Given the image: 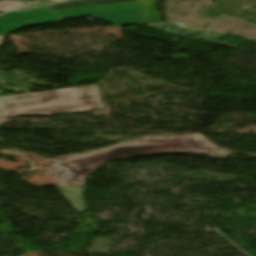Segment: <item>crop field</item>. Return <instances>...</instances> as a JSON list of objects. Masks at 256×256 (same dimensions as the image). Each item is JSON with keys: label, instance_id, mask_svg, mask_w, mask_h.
I'll list each match as a JSON object with an SVG mask.
<instances>
[{"label": "crop field", "instance_id": "obj_10", "mask_svg": "<svg viewBox=\"0 0 256 256\" xmlns=\"http://www.w3.org/2000/svg\"><path fill=\"white\" fill-rule=\"evenodd\" d=\"M233 153H238V154H246V153H240V152H235V151H232ZM247 155H251V156H255L256 157V155H253V154H247Z\"/></svg>", "mask_w": 256, "mask_h": 256}, {"label": "crop field", "instance_id": "obj_5", "mask_svg": "<svg viewBox=\"0 0 256 256\" xmlns=\"http://www.w3.org/2000/svg\"><path fill=\"white\" fill-rule=\"evenodd\" d=\"M77 212L87 209L83 202L84 186L56 187Z\"/></svg>", "mask_w": 256, "mask_h": 256}, {"label": "crop field", "instance_id": "obj_12", "mask_svg": "<svg viewBox=\"0 0 256 256\" xmlns=\"http://www.w3.org/2000/svg\"><path fill=\"white\" fill-rule=\"evenodd\" d=\"M20 1H28V2H33V1H37V0H20Z\"/></svg>", "mask_w": 256, "mask_h": 256}, {"label": "crop field", "instance_id": "obj_1", "mask_svg": "<svg viewBox=\"0 0 256 256\" xmlns=\"http://www.w3.org/2000/svg\"><path fill=\"white\" fill-rule=\"evenodd\" d=\"M204 155L224 160L230 151L209 142L201 134L143 137L128 143L54 159L50 167L61 176L60 186L84 185L86 177L107 161L150 154Z\"/></svg>", "mask_w": 256, "mask_h": 256}, {"label": "crop field", "instance_id": "obj_2", "mask_svg": "<svg viewBox=\"0 0 256 256\" xmlns=\"http://www.w3.org/2000/svg\"><path fill=\"white\" fill-rule=\"evenodd\" d=\"M103 108L96 85L0 98L2 118Z\"/></svg>", "mask_w": 256, "mask_h": 256}, {"label": "crop field", "instance_id": "obj_3", "mask_svg": "<svg viewBox=\"0 0 256 256\" xmlns=\"http://www.w3.org/2000/svg\"><path fill=\"white\" fill-rule=\"evenodd\" d=\"M62 20L91 16L113 25L144 24L140 1L52 11Z\"/></svg>", "mask_w": 256, "mask_h": 256}, {"label": "crop field", "instance_id": "obj_11", "mask_svg": "<svg viewBox=\"0 0 256 256\" xmlns=\"http://www.w3.org/2000/svg\"><path fill=\"white\" fill-rule=\"evenodd\" d=\"M4 38H5V36L0 37V45L2 44Z\"/></svg>", "mask_w": 256, "mask_h": 256}, {"label": "crop field", "instance_id": "obj_7", "mask_svg": "<svg viewBox=\"0 0 256 256\" xmlns=\"http://www.w3.org/2000/svg\"><path fill=\"white\" fill-rule=\"evenodd\" d=\"M147 23L161 22L160 15L155 10L156 0H142Z\"/></svg>", "mask_w": 256, "mask_h": 256}, {"label": "crop field", "instance_id": "obj_8", "mask_svg": "<svg viewBox=\"0 0 256 256\" xmlns=\"http://www.w3.org/2000/svg\"><path fill=\"white\" fill-rule=\"evenodd\" d=\"M22 5H24V4L20 3V2L3 1V2H0V11H6V10L16 8V7H19Z\"/></svg>", "mask_w": 256, "mask_h": 256}, {"label": "crop field", "instance_id": "obj_6", "mask_svg": "<svg viewBox=\"0 0 256 256\" xmlns=\"http://www.w3.org/2000/svg\"><path fill=\"white\" fill-rule=\"evenodd\" d=\"M131 1H137V0H74V1L63 3V4H59V5L55 4L52 6H48L47 8L50 11H52L57 9L123 3V2H131Z\"/></svg>", "mask_w": 256, "mask_h": 256}, {"label": "crop field", "instance_id": "obj_4", "mask_svg": "<svg viewBox=\"0 0 256 256\" xmlns=\"http://www.w3.org/2000/svg\"><path fill=\"white\" fill-rule=\"evenodd\" d=\"M61 21L46 7L29 12H9L0 16V34H8L25 26Z\"/></svg>", "mask_w": 256, "mask_h": 256}, {"label": "crop field", "instance_id": "obj_13", "mask_svg": "<svg viewBox=\"0 0 256 256\" xmlns=\"http://www.w3.org/2000/svg\"><path fill=\"white\" fill-rule=\"evenodd\" d=\"M53 1L60 2V1H66V0H53Z\"/></svg>", "mask_w": 256, "mask_h": 256}, {"label": "crop field", "instance_id": "obj_9", "mask_svg": "<svg viewBox=\"0 0 256 256\" xmlns=\"http://www.w3.org/2000/svg\"><path fill=\"white\" fill-rule=\"evenodd\" d=\"M51 4H55V3H52V2H49V1H46L38 6H33V7H25V8H22V9H18L16 11H29V10H34V9H37V8H40V7H43V6H47V5H51Z\"/></svg>", "mask_w": 256, "mask_h": 256}]
</instances>
